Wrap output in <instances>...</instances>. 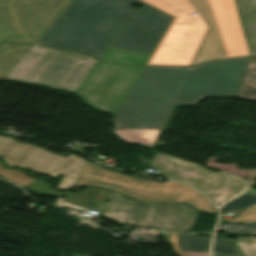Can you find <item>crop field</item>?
Returning a JSON list of instances; mask_svg holds the SVG:
<instances>
[{"mask_svg":"<svg viewBox=\"0 0 256 256\" xmlns=\"http://www.w3.org/2000/svg\"><path fill=\"white\" fill-rule=\"evenodd\" d=\"M255 204L256 194L246 192L244 195L226 203L221 209L240 214Z\"/></svg>","mask_w":256,"mask_h":256,"instance_id":"bc2a9ffb","label":"crop field"},{"mask_svg":"<svg viewBox=\"0 0 256 256\" xmlns=\"http://www.w3.org/2000/svg\"><path fill=\"white\" fill-rule=\"evenodd\" d=\"M256 220V205L249 210L245 211L244 213L234 217L230 221L234 222H248V221H255Z\"/></svg>","mask_w":256,"mask_h":256,"instance_id":"a9b5d70f","label":"crop field"},{"mask_svg":"<svg viewBox=\"0 0 256 256\" xmlns=\"http://www.w3.org/2000/svg\"><path fill=\"white\" fill-rule=\"evenodd\" d=\"M42 1V0H41Z\"/></svg>","mask_w":256,"mask_h":256,"instance_id":"120bbe31","label":"crop field"},{"mask_svg":"<svg viewBox=\"0 0 256 256\" xmlns=\"http://www.w3.org/2000/svg\"><path fill=\"white\" fill-rule=\"evenodd\" d=\"M181 252H183L187 256H208V254H204V253H195V252H186V251H181Z\"/></svg>","mask_w":256,"mask_h":256,"instance_id":"eef30255","label":"crop field"},{"mask_svg":"<svg viewBox=\"0 0 256 256\" xmlns=\"http://www.w3.org/2000/svg\"><path fill=\"white\" fill-rule=\"evenodd\" d=\"M170 236H171V240H167V241L173 244L175 253L179 254L180 256H186L179 251L177 233H171Z\"/></svg>","mask_w":256,"mask_h":256,"instance_id":"730fd06b","label":"crop field"},{"mask_svg":"<svg viewBox=\"0 0 256 256\" xmlns=\"http://www.w3.org/2000/svg\"><path fill=\"white\" fill-rule=\"evenodd\" d=\"M97 62L90 56L32 45L6 78L74 92Z\"/></svg>","mask_w":256,"mask_h":256,"instance_id":"34b2d1b8","label":"crop field"},{"mask_svg":"<svg viewBox=\"0 0 256 256\" xmlns=\"http://www.w3.org/2000/svg\"><path fill=\"white\" fill-rule=\"evenodd\" d=\"M51 185L47 184V181L37 178L26 189H30L33 193L42 196H57L60 192L52 190Z\"/></svg>","mask_w":256,"mask_h":256,"instance_id":"214f88e0","label":"crop field"},{"mask_svg":"<svg viewBox=\"0 0 256 256\" xmlns=\"http://www.w3.org/2000/svg\"><path fill=\"white\" fill-rule=\"evenodd\" d=\"M248 192L256 193V190H255V189L250 188V189L248 190Z\"/></svg>","mask_w":256,"mask_h":256,"instance_id":"bd1437ed","label":"crop field"},{"mask_svg":"<svg viewBox=\"0 0 256 256\" xmlns=\"http://www.w3.org/2000/svg\"><path fill=\"white\" fill-rule=\"evenodd\" d=\"M180 250L208 253L210 237L178 233Z\"/></svg>","mask_w":256,"mask_h":256,"instance_id":"4a817a6b","label":"crop field"},{"mask_svg":"<svg viewBox=\"0 0 256 256\" xmlns=\"http://www.w3.org/2000/svg\"><path fill=\"white\" fill-rule=\"evenodd\" d=\"M174 17L146 4L111 45L112 48L153 53Z\"/></svg>","mask_w":256,"mask_h":256,"instance_id":"28ad6ade","label":"crop field"},{"mask_svg":"<svg viewBox=\"0 0 256 256\" xmlns=\"http://www.w3.org/2000/svg\"><path fill=\"white\" fill-rule=\"evenodd\" d=\"M70 256H86V255H80V254L71 253Z\"/></svg>","mask_w":256,"mask_h":256,"instance_id":"750c4746","label":"crop field"},{"mask_svg":"<svg viewBox=\"0 0 256 256\" xmlns=\"http://www.w3.org/2000/svg\"><path fill=\"white\" fill-rule=\"evenodd\" d=\"M250 55H256V0H235Z\"/></svg>","mask_w":256,"mask_h":256,"instance_id":"d1516ede","label":"crop field"},{"mask_svg":"<svg viewBox=\"0 0 256 256\" xmlns=\"http://www.w3.org/2000/svg\"><path fill=\"white\" fill-rule=\"evenodd\" d=\"M212 253L241 256L235 246L217 238L214 239Z\"/></svg>","mask_w":256,"mask_h":256,"instance_id":"00972430","label":"crop field"},{"mask_svg":"<svg viewBox=\"0 0 256 256\" xmlns=\"http://www.w3.org/2000/svg\"><path fill=\"white\" fill-rule=\"evenodd\" d=\"M256 239L248 237H237L235 245L244 256H256Z\"/></svg>","mask_w":256,"mask_h":256,"instance_id":"92a150f3","label":"crop field"},{"mask_svg":"<svg viewBox=\"0 0 256 256\" xmlns=\"http://www.w3.org/2000/svg\"><path fill=\"white\" fill-rule=\"evenodd\" d=\"M217 230L224 233H238L240 231H248L256 234V224H245L243 226L235 223H224L218 225Z\"/></svg>","mask_w":256,"mask_h":256,"instance_id":"dafd665d","label":"crop field"},{"mask_svg":"<svg viewBox=\"0 0 256 256\" xmlns=\"http://www.w3.org/2000/svg\"><path fill=\"white\" fill-rule=\"evenodd\" d=\"M136 10L119 0H73L37 44L100 59Z\"/></svg>","mask_w":256,"mask_h":256,"instance_id":"ac0d7876","label":"crop field"},{"mask_svg":"<svg viewBox=\"0 0 256 256\" xmlns=\"http://www.w3.org/2000/svg\"><path fill=\"white\" fill-rule=\"evenodd\" d=\"M74 185V184H73ZM97 185L114 189L141 201H187L198 210L216 213L204 195L195 189L168 180L166 183L130 177L100 168L88 162L74 186Z\"/></svg>","mask_w":256,"mask_h":256,"instance_id":"412701ff","label":"crop field"},{"mask_svg":"<svg viewBox=\"0 0 256 256\" xmlns=\"http://www.w3.org/2000/svg\"><path fill=\"white\" fill-rule=\"evenodd\" d=\"M197 214H199L196 210L194 209H190L179 221H178V231L181 232H187V229L185 228L184 225H181V221H185V222H191L193 223ZM186 217H188V219H186Z\"/></svg>","mask_w":256,"mask_h":256,"instance_id":"4177f3b9","label":"crop field"},{"mask_svg":"<svg viewBox=\"0 0 256 256\" xmlns=\"http://www.w3.org/2000/svg\"><path fill=\"white\" fill-rule=\"evenodd\" d=\"M196 219H197V218H196ZM195 221H196V220H195ZM182 223H184V222H182ZM194 224H195V222H194ZM194 224L185 223V226H186V228L189 230V229L193 228Z\"/></svg>","mask_w":256,"mask_h":256,"instance_id":"d3111659","label":"crop field"},{"mask_svg":"<svg viewBox=\"0 0 256 256\" xmlns=\"http://www.w3.org/2000/svg\"><path fill=\"white\" fill-rule=\"evenodd\" d=\"M150 56L151 54L136 53L109 48L102 59L134 65H142L147 64Z\"/></svg>","mask_w":256,"mask_h":256,"instance_id":"733c2abd","label":"crop field"},{"mask_svg":"<svg viewBox=\"0 0 256 256\" xmlns=\"http://www.w3.org/2000/svg\"><path fill=\"white\" fill-rule=\"evenodd\" d=\"M210 25L192 64L246 56L248 50L234 0H191Z\"/></svg>","mask_w":256,"mask_h":256,"instance_id":"f4fd0767","label":"crop field"},{"mask_svg":"<svg viewBox=\"0 0 256 256\" xmlns=\"http://www.w3.org/2000/svg\"><path fill=\"white\" fill-rule=\"evenodd\" d=\"M31 45L3 42L0 44V78H5Z\"/></svg>","mask_w":256,"mask_h":256,"instance_id":"cbeb9de0","label":"crop field"},{"mask_svg":"<svg viewBox=\"0 0 256 256\" xmlns=\"http://www.w3.org/2000/svg\"><path fill=\"white\" fill-rule=\"evenodd\" d=\"M213 256H227V255H217V254H213Z\"/></svg>","mask_w":256,"mask_h":256,"instance_id":"1d83c4d3","label":"crop field"},{"mask_svg":"<svg viewBox=\"0 0 256 256\" xmlns=\"http://www.w3.org/2000/svg\"><path fill=\"white\" fill-rule=\"evenodd\" d=\"M235 98H256V57H251Z\"/></svg>","mask_w":256,"mask_h":256,"instance_id":"d9b57169","label":"crop field"},{"mask_svg":"<svg viewBox=\"0 0 256 256\" xmlns=\"http://www.w3.org/2000/svg\"><path fill=\"white\" fill-rule=\"evenodd\" d=\"M150 168L161 174L194 185L218 205L243 191L248 182L220 174L197 163L154 152Z\"/></svg>","mask_w":256,"mask_h":256,"instance_id":"d8731c3e","label":"crop field"},{"mask_svg":"<svg viewBox=\"0 0 256 256\" xmlns=\"http://www.w3.org/2000/svg\"><path fill=\"white\" fill-rule=\"evenodd\" d=\"M103 216L117 224L136 225L177 231V221L191 208L186 204L170 205L162 202L143 203L109 191Z\"/></svg>","mask_w":256,"mask_h":256,"instance_id":"3316defc","label":"crop field"},{"mask_svg":"<svg viewBox=\"0 0 256 256\" xmlns=\"http://www.w3.org/2000/svg\"><path fill=\"white\" fill-rule=\"evenodd\" d=\"M162 129H114L127 144H139L152 148Z\"/></svg>","mask_w":256,"mask_h":256,"instance_id":"5142ce71","label":"crop field"},{"mask_svg":"<svg viewBox=\"0 0 256 256\" xmlns=\"http://www.w3.org/2000/svg\"><path fill=\"white\" fill-rule=\"evenodd\" d=\"M0 157L6 166L24 167L54 178L59 173L65 174L56 186L59 189L71 188L87 162L73 154L67 157L54 155L3 136H0Z\"/></svg>","mask_w":256,"mask_h":256,"instance_id":"5a996713","label":"crop field"},{"mask_svg":"<svg viewBox=\"0 0 256 256\" xmlns=\"http://www.w3.org/2000/svg\"><path fill=\"white\" fill-rule=\"evenodd\" d=\"M71 0H0V41L34 44Z\"/></svg>","mask_w":256,"mask_h":256,"instance_id":"dd49c442","label":"crop field"},{"mask_svg":"<svg viewBox=\"0 0 256 256\" xmlns=\"http://www.w3.org/2000/svg\"><path fill=\"white\" fill-rule=\"evenodd\" d=\"M144 68L99 61L74 93L86 106L116 115Z\"/></svg>","mask_w":256,"mask_h":256,"instance_id":"e52e79f7","label":"crop field"},{"mask_svg":"<svg viewBox=\"0 0 256 256\" xmlns=\"http://www.w3.org/2000/svg\"><path fill=\"white\" fill-rule=\"evenodd\" d=\"M107 194V190L97 187H87L86 190L79 193L62 192L59 196L64 195L68 197V200L74 205L86 207L102 213L107 199Z\"/></svg>","mask_w":256,"mask_h":256,"instance_id":"22f410ed","label":"crop field"},{"mask_svg":"<svg viewBox=\"0 0 256 256\" xmlns=\"http://www.w3.org/2000/svg\"><path fill=\"white\" fill-rule=\"evenodd\" d=\"M249 58L192 68L146 66L114 117V128H163L176 103L234 98Z\"/></svg>","mask_w":256,"mask_h":256,"instance_id":"8a807250","label":"crop field"},{"mask_svg":"<svg viewBox=\"0 0 256 256\" xmlns=\"http://www.w3.org/2000/svg\"><path fill=\"white\" fill-rule=\"evenodd\" d=\"M121 1H123V2H125V3H127V4H133V3H136L137 5H139V6H141V7H143L144 6V3H142V2H140V1H138V0H121Z\"/></svg>","mask_w":256,"mask_h":256,"instance_id":"ae1a2a85","label":"crop field"}]
</instances>
